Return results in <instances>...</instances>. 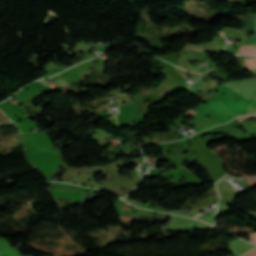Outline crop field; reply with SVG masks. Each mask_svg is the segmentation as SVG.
I'll use <instances>...</instances> for the list:
<instances>
[{"mask_svg": "<svg viewBox=\"0 0 256 256\" xmlns=\"http://www.w3.org/2000/svg\"><path fill=\"white\" fill-rule=\"evenodd\" d=\"M2 256H8V255L3 254Z\"/></svg>", "mask_w": 256, "mask_h": 256, "instance_id": "9", "label": "crop field"}, {"mask_svg": "<svg viewBox=\"0 0 256 256\" xmlns=\"http://www.w3.org/2000/svg\"><path fill=\"white\" fill-rule=\"evenodd\" d=\"M239 53H242V54H249V55H256V47H252V46H241Z\"/></svg>", "mask_w": 256, "mask_h": 256, "instance_id": "3", "label": "crop field"}, {"mask_svg": "<svg viewBox=\"0 0 256 256\" xmlns=\"http://www.w3.org/2000/svg\"><path fill=\"white\" fill-rule=\"evenodd\" d=\"M244 256H256V248L249 251L247 254H245Z\"/></svg>", "mask_w": 256, "mask_h": 256, "instance_id": "7", "label": "crop field"}, {"mask_svg": "<svg viewBox=\"0 0 256 256\" xmlns=\"http://www.w3.org/2000/svg\"><path fill=\"white\" fill-rule=\"evenodd\" d=\"M250 242L256 243V237L254 233L250 234Z\"/></svg>", "mask_w": 256, "mask_h": 256, "instance_id": "8", "label": "crop field"}, {"mask_svg": "<svg viewBox=\"0 0 256 256\" xmlns=\"http://www.w3.org/2000/svg\"><path fill=\"white\" fill-rule=\"evenodd\" d=\"M3 118L4 120H5V122L7 123V124H10V123H13L12 121H10L2 112H0V118ZM0 124H2V123H0Z\"/></svg>", "mask_w": 256, "mask_h": 256, "instance_id": "6", "label": "crop field"}, {"mask_svg": "<svg viewBox=\"0 0 256 256\" xmlns=\"http://www.w3.org/2000/svg\"><path fill=\"white\" fill-rule=\"evenodd\" d=\"M253 187L256 186V177H250V176H247V177H244Z\"/></svg>", "mask_w": 256, "mask_h": 256, "instance_id": "5", "label": "crop field"}, {"mask_svg": "<svg viewBox=\"0 0 256 256\" xmlns=\"http://www.w3.org/2000/svg\"><path fill=\"white\" fill-rule=\"evenodd\" d=\"M216 98H218L221 102H223L227 107H229L236 115L244 114L239 110V107L236 106L234 103L231 101L227 100L222 96L221 94L217 93L215 95Z\"/></svg>", "mask_w": 256, "mask_h": 256, "instance_id": "2", "label": "crop field"}, {"mask_svg": "<svg viewBox=\"0 0 256 256\" xmlns=\"http://www.w3.org/2000/svg\"><path fill=\"white\" fill-rule=\"evenodd\" d=\"M246 116H252V115H246ZM246 116H241V117H246ZM252 117L256 118V116H252ZM237 118H240V117H237ZM247 118H251V117L239 119L241 125L245 128V130L248 132V134L256 132V122L243 121L244 119H247Z\"/></svg>", "mask_w": 256, "mask_h": 256, "instance_id": "1", "label": "crop field"}, {"mask_svg": "<svg viewBox=\"0 0 256 256\" xmlns=\"http://www.w3.org/2000/svg\"><path fill=\"white\" fill-rule=\"evenodd\" d=\"M244 61L248 69L256 67V57L245 59Z\"/></svg>", "mask_w": 256, "mask_h": 256, "instance_id": "4", "label": "crop field"}]
</instances>
